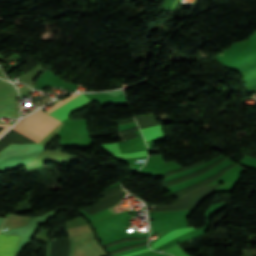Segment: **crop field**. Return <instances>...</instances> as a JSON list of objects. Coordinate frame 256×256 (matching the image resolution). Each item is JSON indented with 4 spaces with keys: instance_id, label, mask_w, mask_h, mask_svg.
I'll list each match as a JSON object with an SVG mask.
<instances>
[{
    "instance_id": "6",
    "label": "crop field",
    "mask_w": 256,
    "mask_h": 256,
    "mask_svg": "<svg viewBox=\"0 0 256 256\" xmlns=\"http://www.w3.org/2000/svg\"><path fill=\"white\" fill-rule=\"evenodd\" d=\"M193 227H189V228H182V229H176L168 234H166L165 236H163L161 239H159L158 241H156L155 243H153V247H151L152 249H155L156 247L162 245L163 243L169 241L170 239L188 231V230H193Z\"/></svg>"
},
{
    "instance_id": "8",
    "label": "crop field",
    "mask_w": 256,
    "mask_h": 256,
    "mask_svg": "<svg viewBox=\"0 0 256 256\" xmlns=\"http://www.w3.org/2000/svg\"><path fill=\"white\" fill-rule=\"evenodd\" d=\"M77 95H79V94H71V95H69L68 97H66V98H64L63 100H61V102L60 103H58V104H56L55 106H53L52 108H50L48 111H46V112H51L52 110H54V109H56L57 107H59L60 105H62L63 103H65V102H67L68 100H70L71 98H73V97H75V96H77Z\"/></svg>"
},
{
    "instance_id": "4",
    "label": "crop field",
    "mask_w": 256,
    "mask_h": 256,
    "mask_svg": "<svg viewBox=\"0 0 256 256\" xmlns=\"http://www.w3.org/2000/svg\"><path fill=\"white\" fill-rule=\"evenodd\" d=\"M100 147L103 148L104 150H106L110 155L118 156V157H122V158L140 157V156L147 155V150L133 152V153L120 154V150H119L117 143L102 144V145H100Z\"/></svg>"
},
{
    "instance_id": "3",
    "label": "crop field",
    "mask_w": 256,
    "mask_h": 256,
    "mask_svg": "<svg viewBox=\"0 0 256 256\" xmlns=\"http://www.w3.org/2000/svg\"><path fill=\"white\" fill-rule=\"evenodd\" d=\"M19 236L0 234V256H13Z\"/></svg>"
},
{
    "instance_id": "9",
    "label": "crop field",
    "mask_w": 256,
    "mask_h": 256,
    "mask_svg": "<svg viewBox=\"0 0 256 256\" xmlns=\"http://www.w3.org/2000/svg\"><path fill=\"white\" fill-rule=\"evenodd\" d=\"M150 249L147 248V249H144V250H140V251H137V252H134V253H131V254H127V255H123V256H129V255H133V254H136V253H140V252H144V251H149Z\"/></svg>"
},
{
    "instance_id": "1",
    "label": "crop field",
    "mask_w": 256,
    "mask_h": 256,
    "mask_svg": "<svg viewBox=\"0 0 256 256\" xmlns=\"http://www.w3.org/2000/svg\"><path fill=\"white\" fill-rule=\"evenodd\" d=\"M60 121L38 110L22 118L12 129L40 142V140Z\"/></svg>"
},
{
    "instance_id": "5",
    "label": "crop field",
    "mask_w": 256,
    "mask_h": 256,
    "mask_svg": "<svg viewBox=\"0 0 256 256\" xmlns=\"http://www.w3.org/2000/svg\"><path fill=\"white\" fill-rule=\"evenodd\" d=\"M141 132H142L145 140L165 136L161 125L146 128V129H142Z\"/></svg>"
},
{
    "instance_id": "2",
    "label": "crop field",
    "mask_w": 256,
    "mask_h": 256,
    "mask_svg": "<svg viewBox=\"0 0 256 256\" xmlns=\"http://www.w3.org/2000/svg\"><path fill=\"white\" fill-rule=\"evenodd\" d=\"M91 103L93 102L81 94L49 114L61 121L69 116L72 112L86 107Z\"/></svg>"
},
{
    "instance_id": "7",
    "label": "crop field",
    "mask_w": 256,
    "mask_h": 256,
    "mask_svg": "<svg viewBox=\"0 0 256 256\" xmlns=\"http://www.w3.org/2000/svg\"><path fill=\"white\" fill-rule=\"evenodd\" d=\"M164 252L172 253L174 256H189L183 252L178 245H175Z\"/></svg>"
}]
</instances>
